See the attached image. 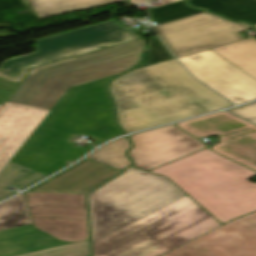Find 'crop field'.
<instances>
[{
	"label": "crop field",
	"instance_id": "obj_1",
	"mask_svg": "<svg viewBox=\"0 0 256 256\" xmlns=\"http://www.w3.org/2000/svg\"><path fill=\"white\" fill-rule=\"evenodd\" d=\"M118 75L67 90L0 173V200L14 194L7 189L9 185L23 189L94 147H74L69 141L74 136L85 135L97 145L123 133L115 124L105 87Z\"/></svg>",
	"mask_w": 256,
	"mask_h": 256
},
{
	"label": "crop field",
	"instance_id": "obj_2",
	"mask_svg": "<svg viewBox=\"0 0 256 256\" xmlns=\"http://www.w3.org/2000/svg\"><path fill=\"white\" fill-rule=\"evenodd\" d=\"M119 123L126 133L231 106L196 81L175 60L131 71L111 82Z\"/></svg>",
	"mask_w": 256,
	"mask_h": 256
},
{
	"label": "crop field",
	"instance_id": "obj_3",
	"mask_svg": "<svg viewBox=\"0 0 256 256\" xmlns=\"http://www.w3.org/2000/svg\"><path fill=\"white\" fill-rule=\"evenodd\" d=\"M167 176L223 224L256 211V173L208 148L152 170Z\"/></svg>",
	"mask_w": 256,
	"mask_h": 256
},
{
	"label": "crop field",
	"instance_id": "obj_4",
	"mask_svg": "<svg viewBox=\"0 0 256 256\" xmlns=\"http://www.w3.org/2000/svg\"><path fill=\"white\" fill-rule=\"evenodd\" d=\"M220 225L186 195L93 243L94 256H161Z\"/></svg>",
	"mask_w": 256,
	"mask_h": 256
},
{
	"label": "crop field",
	"instance_id": "obj_5",
	"mask_svg": "<svg viewBox=\"0 0 256 256\" xmlns=\"http://www.w3.org/2000/svg\"><path fill=\"white\" fill-rule=\"evenodd\" d=\"M143 40L31 70L9 102L51 109L69 87L123 73L138 63Z\"/></svg>",
	"mask_w": 256,
	"mask_h": 256
},
{
	"label": "crop field",
	"instance_id": "obj_6",
	"mask_svg": "<svg viewBox=\"0 0 256 256\" xmlns=\"http://www.w3.org/2000/svg\"><path fill=\"white\" fill-rule=\"evenodd\" d=\"M186 195L163 176L129 167L89 194L93 242Z\"/></svg>",
	"mask_w": 256,
	"mask_h": 256
},
{
	"label": "crop field",
	"instance_id": "obj_7",
	"mask_svg": "<svg viewBox=\"0 0 256 256\" xmlns=\"http://www.w3.org/2000/svg\"><path fill=\"white\" fill-rule=\"evenodd\" d=\"M135 39V33L113 20L46 37L35 41L36 52L2 62L0 77L20 83L33 67Z\"/></svg>",
	"mask_w": 256,
	"mask_h": 256
},
{
	"label": "crop field",
	"instance_id": "obj_8",
	"mask_svg": "<svg viewBox=\"0 0 256 256\" xmlns=\"http://www.w3.org/2000/svg\"><path fill=\"white\" fill-rule=\"evenodd\" d=\"M153 28L175 58L243 40L238 33L253 29L246 23H234L209 13Z\"/></svg>",
	"mask_w": 256,
	"mask_h": 256
},
{
	"label": "crop field",
	"instance_id": "obj_9",
	"mask_svg": "<svg viewBox=\"0 0 256 256\" xmlns=\"http://www.w3.org/2000/svg\"><path fill=\"white\" fill-rule=\"evenodd\" d=\"M32 226L62 241L90 240L86 195L24 194Z\"/></svg>",
	"mask_w": 256,
	"mask_h": 256
},
{
	"label": "crop field",
	"instance_id": "obj_10",
	"mask_svg": "<svg viewBox=\"0 0 256 256\" xmlns=\"http://www.w3.org/2000/svg\"><path fill=\"white\" fill-rule=\"evenodd\" d=\"M175 125L196 138L217 134L213 151L256 171V126L225 111Z\"/></svg>",
	"mask_w": 256,
	"mask_h": 256
},
{
	"label": "crop field",
	"instance_id": "obj_11",
	"mask_svg": "<svg viewBox=\"0 0 256 256\" xmlns=\"http://www.w3.org/2000/svg\"><path fill=\"white\" fill-rule=\"evenodd\" d=\"M163 256H256V212L237 218Z\"/></svg>",
	"mask_w": 256,
	"mask_h": 256
},
{
	"label": "crop field",
	"instance_id": "obj_12",
	"mask_svg": "<svg viewBox=\"0 0 256 256\" xmlns=\"http://www.w3.org/2000/svg\"><path fill=\"white\" fill-rule=\"evenodd\" d=\"M130 137L134 147L129 155L135 167L147 171L206 148L173 125Z\"/></svg>",
	"mask_w": 256,
	"mask_h": 256
},
{
	"label": "crop field",
	"instance_id": "obj_13",
	"mask_svg": "<svg viewBox=\"0 0 256 256\" xmlns=\"http://www.w3.org/2000/svg\"><path fill=\"white\" fill-rule=\"evenodd\" d=\"M178 60L195 77L235 104L256 98V80L210 50Z\"/></svg>",
	"mask_w": 256,
	"mask_h": 256
},
{
	"label": "crop field",
	"instance_id": "obj_14",
	"mask_svg": "<svg viewBox=\"0 0 256 256\" xmlns=\"http://www.w3.org/2000/svg\"><path fill=\"white\" fill-rule=\"evenodd\" d=\"M49 112L5 102L0 109V172Z\"/></svg>",
	"mask_w": 256,
	"mask_h": 256
},
{
	"label": "crop field",
	"instance_id": "obj_15",
	"mask_svg": "<svg viewBox=\"0 0 256 256\" xmlns=\"http://www.w3.org/2000/svg\"><path fill=\"white\" fill-rule=\"evenodd\" d=\"M120 172L122 171L85 159L27 191L89 193Z\"/></svg>",
	"mask_w": 256,
	"mask_h": 256
},
{
	"label": "crop field",
	"instance_id": "obj_16",
	"mask_svg": "<svg viewBox=\"0 0 256 256\" xmlns=\"http://www.w3.org/2000/svg\"><path fill=\"white\" fill-rule=\"evenodd\" d=\"M30 225L0 231V256H13L31 251L67 245Z\"/></svg>",
	"mask_w": 256,
	"mask_h": 256
},
{
	"label": "crop field",
	"instance_id": "obj_17",
	"mask_svg": "<svg viewBox=\"0 0 256 256\" xmlns=\"http://www.w3.org/2000/svg\"><path fill=\"white\" fill-rule=\"evenodd\" d=\"M192 7L220 14L232 21L256 24V0H187Z\"/></svg>",
	"mask_w": 256,
	"mask_h": 256
},
{
	"label": "crop field",
	"instance_id": "obj_18",
	"mask_svg": "<svg viewBox=\"0 0 256 256\" xmlns=\"http://www.w3.org/2000/svg\"><path fill=\"white\" fill-rule=\"evenodd\" d=\"M213 52L256 79V38L220 46Z\"/></svg>",
	"mask_w": 256,
	"mask_h": 256
},
{
	"label": "crop field",
	"instance_id": "obj_19",
	"mask_svg": "<svg viewBox=\"0 0 256 256\" xmlns=\"http://www.w3.org/2000/svg\"><path fill=\"white\" fill-rule=\"evenodd\" d=\"M39 16L44 19L124 0H28Z\"/></svg>",
	"mask_w": 256,
	"mask_h": 256
},
{
	"label": "crop field",
	"instance_id": "obj_20",
	"mask_svg": "<svg viewBox=\"0 0 256 256\" xmlns=\"http://www.w3.org/2000/svg\"><path fill=\"white\" fill-rule=\"evenodd\" d=\"M31 224L23 193L0 204V230Z\"/></svg>",
	"mask_w": 256,
	"mask_h": 256
},
{
	"label": "crop field",
	"instance_id": "obj_21",
	"mask_svg": "<svg viewBox=\"0 0 256 256\" xmlns=\"http://www.w3.org/2000/svg\"><path fill=\"white\" fill-rule=\"evenodd\" d=\"M129 147L130 144L124 137L100 148L87 159L118 169H124L131 164L124 155Z\"/></svg>",
	"mask_w": 256,
	"mask_h": 256
},
{
	"label": "crop field",
	"instance_id": "obj_22",
	"mask_svg": "<svg viewBox=\"0 0 256 256\" xmlns=\"http://www.w3.org/2000/svg\"><path fill=\"white\" fill-rule=\"evenodd\" d=\"M148 11L150 19L154 21L156 25L203 12L188 8L183 0L161 7L149 9Z\"/></svg>",
	"mask_w": 256,
	"mask_h": 256
},
{
	"label": "crop field",
	"instance_id": "obj_23",
	"mask_svg": "<svg viewBox=\"0 0 256 256\" xmlns=\"http://www.w3.org/2000/svg\"><path fill=\"white\" fill-rule=\"evenodd\" d=\"M90 241L79 242L72 245L51 248L17 256H89Z\"/></svg>",
	"mask_w": 256,
	"mask_h": 256
},
{
	"label": "crop field",
	"instance_id": "obj_24",
	"mask_svg": "<svg viewBox=\"0 0 256 256\" xmlns=\"http://www.w3.org/2000/svg\"><path fill=\"white\" fill-rule=\"evenodd\" d=\"M149 52L151 65L173 59L171 54L156 36L149 37Z\"/></svg>",
	"mask_w": 256,
	"mask_h": 256
},
{
	"label": "crop field",
	"instance_id": "obj_25",
	"mask_svg": "<svg viewBox=\"0 0 256 256\" xmlns=\"http://www.w3.org/2000/svg\"><path fill=\"white\" fill-rule=\"evenodd\" d=\"M229 112L256 124V102L229 110Z\"/></svg>",
	"mask_w": 256,
	"mask_h": 256
},
{
	"label": "crop field",
	"instance_id": "obj_26",
	"mask_svg": "<svg viewBox=\"0 0 256 256\" xmlns=\"http://www.w3.org/2000/svg\"><path fill=\"white\" fill-rule=\"evenodd\" d=\"M17 85L18 83L0 78V105H3V103L7 100Z\"/></svg>",
	"mask_w": 256,
	"mask_h": 256
},
{
	"label": "crop field",
	"instance_id": "obj_27",
	"mask_svg": "<svg viewBox=\"0 0 256 256\" xmlns=\"http://www.w3.org/2000/svg\"><path fill=\"white\" fill-rule=\"evenodd\" d=\"M143 61H144V64L141 65V66H139V67H137L136 69L142 68V67H146V66H149V65H150L148 48L146 49V51H145V53H144Z\"/></svg>",
	"mask_w": 256,
	"mask_h": 256
},
{
	"label": "crop field",
	"instance_id": "obj_28",
	"mask_svg": "<svg viewBox=\"0 0 256 256\" xmlns=\"http://www.w3.org/2000/svg\"><path fill=\"white\" fill-rule=\"evenodd\" d=\"M131 3H138V2H141L142 0H130ZM166 3L168 2H171V1H174V0H164Z\"/></svg>",
	"mask_w": 256,
	"mask_h": 256
},
{
	"label": "crop field",
	"instance_id": "obj_29",
	"mask_svg": "<svg viewBox=\"0 0 256 256\" xmlns=\"http://www.w3.org/2000/svg\"><path fill=\"white\" fill-rule=\"evenodd\" d=\"M254 27H256V25H254Z\"/></svg>",
	"mask_w": 256,
	"mask_h": 256
},
{
	"label": "crop field",
	"instance_id": "obj_30",
	"mask_svg": "<svg viewBox=\"0 0 256 256\" xmlns=\"http://www.w3.org/2000/svg\"><path fill=\"white\" fill-rule=\"evenodd\" d=\"M1 107V106H0Z\"/></svg>",
	"mask_w": 256,
	"mask_h": 256
}]
</instances>
